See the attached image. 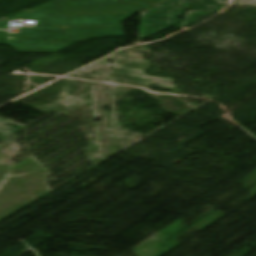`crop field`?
<instances>
[{"mask_svg": "<svg viewBox=\"0 0 256 256\" xmlns=\"http://www.w3.org/2000/svg\"><path fill=\"white\" fill-rule=\"evenodd\" d=\"M37 27L62 29V26H58V25H52V26L37 25Z\"/></svg>", "mask_w": 256, "mask_h": 256, "instance_id": "8a807250", "label": "crop field"}]
</instances>
